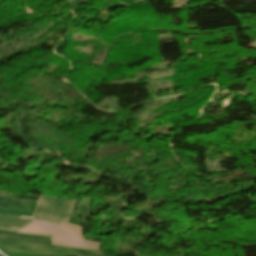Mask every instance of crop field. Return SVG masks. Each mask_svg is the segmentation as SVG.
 Instances as JSON below:
<instances>
[{
    "mask_svg": "<svg viewBox=\"0 0 256 256\" xmlns=\"http://www.w3.org/2000/svg\"><path fill=\"white\" fill-rule=\"evenodd\" d=\"M0 239L20 241V242H32V243H45L51 244L50 237L40 235L21 234L12 231H1Z\"/></svg>",
    "mask_w": 256,
    "mask_h": 256,
    "instance_id": "5",
    "label": "crop field"
},
{
    "mask_svg": "<svg viewBox=\"0 0 256 256\" xmlns=\"http://www.w3.org/2000/svg\"><path fill=\"white\" fill-rule=\"evenodd\" d=\"M69 256H77V255H69Z\"/></svg>",
    "mask_w": 256,
    "mask_h": 256,
    "instance_id": "8",
    "label": "crop field"
},
{
    "mask_svg": "<svg viewBox=\"0 0 256 256\" xmlns=\"http://www.w3.org/2000/svg\"><path fill=\"white\" fill-rule=\"evenodd\" d=\"M39 197H32V196H23V195H18L16 198L17 200H31V201H37Z\"/></svg>",
    "mask_w": 256,
    "mask_h": 256,
    "instance_id": "7",
    "label": "crop field"
},
{
    "mask_svg": "<svg viewBox=\"0 0 256 256\" xmlns=\"http://www.w3.org/2000/svg\"><path fill=\"white\" fill-rule=\"evenodd\" d=\"M82 228L73 225H60L34 220L26 228L18 231L21 233L52 235V244L79 247L85 249H98L99 244L83 241L80 235Z\"/></svg>",
    "mask_w": 256,
    "mask_h": 256,
    "instance_id": "1",
    "label": "crop field"
},
{
    "mask_svg": "<svg viewBox=\"0 0 256 256\" xmlns=\"http://www.w3.org/2000/svg\"><path fill=\"white\" fill-rule=\"evenodd\" d=\"M35 202H22L0 197V207L34 212ZM25 217V216H23ZM30 218V217H25ZM0 215V229L17 230L25 227L33 219H25Z\"/></svg>",
    "mask_w": 256,
    "mask_h": 256,
    "instance_id": "4",
    "label": "crop field"
},
{
    "mask_svg": "<svg viewBox=\"0 0 256 256\" xmlns=\"http://www.w3.org/2000/svg\"><path fill=\"white\" fill-rule=\"evenodd\" d=\"M0 249L23 251V252H37V253H54V254H88L103 256L99 250H83L65 248L54 245L45 244H21L7 241H0Z\"/></svg>",
    "mask_w": 256,
    "mask_h": 256,
    "instance_id": "3",
    "label": "crop field"
},
{
    "mask_svg": "<svg viewBox=\"0 0 256 256\" xmlns=\"http://www.w3.org/2000/svg\"><path fill=\"white\" fill-rule=\"evenodd\" d=\"M1 256V255H0Z\"/></svg>",
    "mask_w": 256,
    "mask_h": 256,
    "instance_id": "9",
    "label": "crop field"
},
{
    "mask_svg": "<svg viewBox=\"0 0 256 256\" xmlns=\"http://www.w3.org/2000/svg\"><path fill=\"white\" fill-rule=\"evenodd\" d=\"M42 196L38 202V207L34 218L37 220L49 221L53 223H66L76 201L61 200Z\"/></svg>",
    "mask_w": 256,
    "mask_h": 256,
    "instance_id": "2",
    "label": "crop field"
},
{
    "mask_svg": "<svg viewBox=\"0 0 256 256\" xmlns=\"http://www.w3.org/2000/svg\"><path fill=\"white\" fill-rule=\"evenodd\" d=\"M8 256H68V255H54V254H29L14 251L1 250Z\"/></svg>",
    "mask_w": 256,
    "mask_h": 256,
    "instance_id": "6",
    "label": "crop field"
}]
</instances>
